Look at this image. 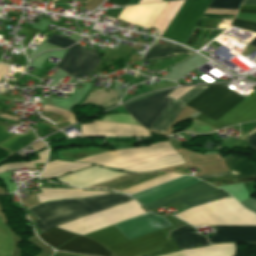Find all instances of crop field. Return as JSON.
I'll list each match as a JSON object with an SVG mask.
<instances>
[{
    "instance_id": "crop-field-43",
    "label": "crop field",
    "mask_w": 256,
    "mask_h": 256,
    "mask_svg": "<svg viewBox=\"0 0 256 256\" xmlns=\"http://www.w3.org/2000/svg\"><path fill=\"white\" fill-rule=\"evenodd\" d=\"M140 0H129V2L127 3V5H132V4H138Z\"/></svg>"
},
{
    "instance_id": "crop-field-32",
    "label": "crop field",
    "mask_w": 256,
    "mask_h": 256,
    "mask_svg": "<svg viewBox=\"0 0 256 256\" xmlns=\"http://www.w3.org/2000/svg\"><path fill=\"white\" fill-rule=\"evenodd\" d=\"M206 87H195L190 92L185 94L183 97H181L178 101L182 103L188 102L190 99H192L194 96H196L198 93H200L202 90H204Z\"/></svg>"
},
{
    "instance_id": "crop-field-47",
    "label": "crop field",
    "mask_w": 256,
    "mask_h": 256,
    "mask_svg": "<svg viewBox=\"0 0 256 256\" xmlns=\"http://www.w3.org/2000/svg\"><path fill=\"white\" fill-rule=\"evenodd\" d=\"M168 1H172V0H168Z\"/></svg>"
},
{
    "instance_id": "crop-field-37",
    "label": "crop field",
    "mask_w": 256,
    "mask_h": 256,
    "mask_svg": "<svg viewBox=\"0 0 256 256\" xmlns=\"http://www.w3.org/2000/svg\"><path fill=\"white\" fill-rule=\"evenodd\" d=\"M10 68L9 65L1 64L0 63V79L3 77V75L8 71ZM1 81V80H0Z\"/></svg>"
},
{
    "instance_id": "crop-field-42",
    "label": "crop field",
    "mask_w": 256,
    "mask_h": 256,
    "mask_svg": "<svg viewBox=\"0 0 256 256\" xmlns=\"http://www.w3.org/2000/svg\"><path fill=\"white\" fill-rule=\"evenodd\" d=\"M163 256H183V255H181L179 252H175V253H171Z\"/></svg>"
},
{
    "instance_id": "crop-field-5",
    "label": "crop field",
    "mask_w": 256,
    "mask_h": 256,
    "mask_svg": "<svg viewBox=\"0 0 256 256\" xmlns=\"http://www.w3.org/2000/svg\"><path fill=\"white\" fill-rule=\"evenodd\" d=\"M173 155H177V153L172 149L168 142H165L154 144L149 147L108 152L76 161L92 162L102 166L123 169Z\"/></svg>"
},
{
    "instance_id": "crop-field-48",
    "label": "crop field",
    "mask_w": 256,
    "mask_h": 256,
    "mask_svg": "<svg viewBox=\"0 0 256 256\" xmlns=\"http://www.w3.org/2000/svg\"><path fill=\"white\" fill-rule=\"evenodd\" d=\"M256 80V79H255Z\"/></svg>"
},
{
    "instance_id": "crop-field-38",
    "label": "crop field",
    "mask_w": 256,
    "mask_h": 256,
    "mask_svg": "<svg viewBox=\"0 0 256 256\" xmlns=\"http://www.w3.org/2000/svg\"><path fill=\"white\" fill-rule=\"evenodd\" d=\"M107 2L116 4V5H119V6H123V5H126L128 0H107Z\"/></svg>"
},
{
    "instance_id": "crop-field-35",
    "label": "crop field",
    "mask_w": 256,
    "mask_h": 256,
    "mask_svg": "<svg viewBox=\"0 0 256 256\" xmlns=\"http://www.w3.org/2000/svg\"><path fill=\"white\" fill-rule=\"evenodd\" d=\"M5 129H6V127L0 126V144L4 141L8 140L9 138L15 136V135L5 132L4 131Z\"/></svg>"
},
{
    "instance_id": "crop-field-26",
    "label": "crop field",
    "mask_w": 256,
    "mask_h": 256,
    "mask_svg": "<svg viewBox=\"0 0 256 256\" xmlns=\"http://www.w3.org/2000/svg\"><path fill=\"white\" fill-rule=\"evenodd\" d=\"M179 176H181V174L173 172L171 174H168V175H165L163 177L151 180L149 182H146V183H143V184H140V185H137V186H134V187L122 190L120 192H123V193H126V194L136 193V192H139V191L151 188L153 186H156L158 184H161L163 182H166L168 180H171V179L179 177Z\"/></svg>"
},
{
    "instance_id": "crop-field-8",
    "label": "crop field",
    "mask_w": 256,
    "mask_h": 256,
    "mask_svg": "<svg viewBox=\"0 0 256 256\" xmlns=\"http://www.w3.org/2000/svg\"><path fill=\"white\" fill-rule=\"evenodd\" d=\"M173 90H165L155 96L123 106L141 125L150 128L172 100L167 95Z\"/></svg>"
},
{
    "instance_id": "crop-field-17",
    "label": "crop field",
    "mask_w": 256,
    "mask_h": 256,
    "mask_svg": "<svg viewBox=\"0 0 256 256\" xmlns=\"http://www.w3.org/2000/svg\"><path fill=\"white\" fill-rule=\"evenodd\" d=\"M159 39H156L155 42L150 47L148 53L145 55V57L142 59V61L157 59V58H165L172 55H192L193 52L180 47L176 46L172 43H166L164 46L157 44Z\"/></svg>"
},
{
    "instance_id": "crop-field-19",
    "label": "crop field",
    "mask_w": 256,
    "mask_h": 256,
    "mask_svg": "<svg viewBox=\"0 0 256 256\" xmlns=\"http://www.w3.org/2000/svg\"><path fill=\"white\" fill-rule=\"evenodd\" d=\"M183 107L184 105L172 100L150 129L164 133Z\"/></svg>"
},
{
    "instance_id": "crop-field-15",
    "label": "crop field",
    "mask_w": 256,
    "mask_h": 256,
    "mask_svg": "<svg viewBox=\"0 0 256 256\" xmlns=\"http://www.w3.org/2000/svg\"><path fill=\"white\" fill-rule=\"evenodd\" d=\"M57 250L73 251L97 256H109L111 253L99 244L80 235L57 248Z\"/></svg>"
},
{
    "instance_id": "crop-field-6",
    "label": "crop field",
    "mask_w": 256,
    "mask_h": 256,
    "mask_svg": "<svg viewBox=\"0 0 256 256\" xmlns=\"http://www.w3.org/2000/svg\"><path fill=\"white\" fill-rule=\"evenodd\" d=\"M242 99L243 96L232 90L215 85L209 86L185 105L216 120Z\"/></svg>"
},
{
    "instance_id": "crop-field-13",
    "label": "crop field",
    "mask_w": 256,
    "mask_h": 256,
    "mask_svg": "<svg viewBox=\"0 0 256 256\" xmlns=\"http://www.w3.org/2000/svg\"><path fill=\"white\" fill-rule=\"evenodd\" d=\"M126 175L124 173L106 170L97 166L64 176L58 180L69 185L85 188L107 180H112L117 177Z\"/></svg>"
},
{
    "instance_id": "crop-field-21",
    "label": "crop field",
    "mask_w": 256,
    "mask_h": 256,
    "mask_svg": "<svg viewBox=\"0 0 256 256\" xmlns=\"http://www.w3.org/2000/svg\"><path fill=\"white\" fill-rule=\"evenodd\" d=\"M89 165H92V164L70 163V162H63V161L56 160L47 164L45 171L41 174V177H56L66 172L76 170Z\"/></svg>"
},
{
    "instance_id": "crop-field-10",
    "label": "crop field",
    "mask_w": 256,
    "mask_h": 256,
    "mask_svg": "<svg viewBox=\"0 0 256 256\" xmlns=\"http://www.w3.org/2000/svg\"><path fill=\"white\" fill-rule=\"evenodd\" d=\"M196 119L216 128H223L245 121L256 120V91L238 103L216 121L200 114Z\"/></svg>"
},
{
    "instance_id": "crop-field-36",
    "label": "crop field",
    "mask_w": 256,
    "mask_h": 256,
    "mask_svg": "<svg viewBox=\"0 0 256 256\" xmlns=\"http://www.w3.org/2000/svg\"><path fill=\"white\" fill-rule=\"evenodd\" d=\"M239 12L256 13V6H241Z\"/></svg>"
},
{
    "instance_id": "crop-field-7",
    "label": "crop field",
    "mask_w": 256,
    "mask_h": 256,
    "mask_svg": "<svg viewBox=\"0 0 256 256\" xmlns=\"http://www.w3.org/2000/svg\"><path fill=\"white\" fill-rule=\"evenodd\" d=\"M212 0L185 1L162 37L183 44Z\"/></svg>"
},
{
    "instance_id": "crop-field-39",
    "label": "crop field",
    "mask_w": 256,
    "mask_h": 256,
    "mask_svg": "<svg viewBox=\"0 0 256 256\" xmlns=\"http://www.w3.org/2000/svg\"><path fill=\"white\" fill-rule=\"evenodd\" d=\"M31 147H33L35 150H37V149H39V148L44 147V145H43L42 143L38 142V143L34 144V145L31 146Z\"/></svg>"
},
{
    "instance_id": "crop-field-27",
    "label": "crop field",
    "mask_w": 256,
    "mask_h": 256,
    "mask_svg": "<svg viewBox=\"0 0 256 256\" xmlns=\"http://www.w3.org/2000/svg\"><path fill=\"white\" fill-rule=\"evenodd\" d=\"M46 155V150L40 153V160L32 161V162H22V163H11L7 165L0 166V173L4 171H8L15 168H35L34 163H44Z\"/></svg>"
},
{
    "instance_id": "crop-field-34",
    "label": "crop field",
    "mask_w": 256,
    "mask_h": 256,
    "mask_svg": "<svg viewBox=\"0 0 256 256\" xmlns=\"http://www.w3.org/2000/svg\"><path fill=\"white\" fill-rule=\"evenodd\" d=\"M245 141L249 146L256 149V126L252 129V131L246 136Z\"/></svg>"
},
{
    "instance_id": "crop-field-22",
    "label": "crop field",
    "mask_w": 256,
    "mask_h": 256,
    "mask_svg": "<svg viewBox=\"0 0 256 256\" xmlns=\"http://www.w3.org/2000/svg\"><path fill=\"white\" fill-rule=\"evenodd\" d=\"M184 3V1H174L170 2L165 6L155 23L153 24V27H155L159 31V37H161L162 33L166 29V27L169 25V23L172 21L174 15L179 10L181 5Z\"/></svg>"
},
{
    "instance_id": "crop-field-30",
    "label": "crop field",
    "mask_w": 256,
    "mask_h": 256,
    "mask_svg": "<svg viewBox=\"0 0 256 256\" xmlns=\"http://www.w3.org/2000/svg\"><path fill=\"white\" fill-rule=\"evenodd\" d=\"M43 111H47V112H52V113L63 115L67 119L69 124H71V123L76 121L74 116L72 115V113L64 111V110H61V109H58V108L53 107V106L45 105Z\"/></svg>"
},
{
    "instance_id": "crop-field-33",
    "label": "crop field",
    "mask_w": 256,
    "mask_h": 256,
    "mask_svg": "<svg viewBox=\"0 0 256 256\" xmlns=\"http://www.w3.org/2000/svg\"><path fill=\"white\" fill-rule=\"evenodd\" d=\"M22 33L28 34L25 40L22 43L23 48H26V46L30 43V41L35 37V35L38 33V30L30 29L24 27Z\"/></svg>"
},
{
    "instance_id": "crop-field-24",
    "label": "crop field",
    "mask_w": 256,
    "mask_h": 256,
    "mask_svg": "<svg viewBox=\"0 0 256 256\" xmlns=\"http://www.w3.org/2000/svg\"><path fill=\"white\" fill-rule=\"evenodd\" d=\"M34 139L36 138L30 131L23 136H16L6 141L5 143L1 144L0 147L14 153L32 143Z\"/></svg>"
},
{
    "instance_id": "crop-field-44",
    "label": "crop field",
    "mask_w": 256,
    "mask_h": 256,
    "mask_svg": "<svg viewBox=\"0 0 256 256\" xmlns=\"http://www.w3.org/2000/svg\"><path fill=\"white\" fill-rule=\"evenodd\" d=\"M250 45L255 46L256 47V37L254 38V40L250 43Z\"/></svg>"
},
{
    "instance_id": "crop-field-18",
    "label": "crop field",
    "mask_w": 256,
    "mask_h": 256,
    "mask_svg": "<svg viewBox=\"0 0 256 256\" xmlns=\"http://www.w3.org/2000/svg\"><path fill=\"white\" fill-rule=\"evenodd\" d=\"M184 256H233L232 243L216 244L204 248L181 251Z\"/></svg>"
},
{
    "instance_id": "crop-field-41",
    "label": "crop field",
    "mask_w": 256,
    "mask_h": 256,
    "mask_svg": "<svg viewBox=\"0 0 256 256\" xmlns=\"http://www.w3.org/2000/svg\"><path fill=\"white\" fill-rule=\"evenodd\" d=\"M157 1H161V0H141L139 2V4H141V3H149V2H157Z\"/></svg>"
},
{
    "instance_id": "crop-field-2",
    "label": "crop field",
    "mask_w": 256,
    "mask_h": 256,
    "mask_svg": "<svg viewBox=\"0 0 256 256\" xmlns=\"http://www.w3.org/2000/svg\"><path fill=\"white\" fill-rule=\"evenodd\" d=\"M194 226L256 224V215L244 209L232 197L197 206L174 215ZM216 232L210 242L256 243V225L212 226Z\"/></svg>"
},
{
    "instance_id": "crop-field-45",
    "label": "crop field",
    "mask_w": 256,
    "mask_h": 256,
    "mask_svg": "<svg viewBox=\"0 0 256 256\" xmlns=\"http://www.w3.org/2000/svg\"><path fill=\"white\" fill-rule=\"evenodd\" d=\"M2 55H3V52H0V58H1Z\"/></svg>"
},
{
    "instance_id": "crop-field-11",
    "label": "crop field",
    "mask_w": 256,
    "mask_h": 256,
    "mask_svg": "<svg viewBox=\"0 0 256 256\" xmlns=\"http://www.w3.org/2000/svg\"><path fill=\"white\" fill-rule=\"evenodd\" d=\"M166 3L125 7L118 19L132 25L150 29Z\"/></svg>"
},
{
    "instance_id": "crop-field-9",
    "label": "crop field",
    "mask_w": 256,
    "mask_h": 256,
    "mask_svg": "<svg viewBox=\"0 0 256 256\" xmlns=\"http://www.w3.org/2000/svg\"><path fill=\"white\" fill-rule=\"evenodd\" d=\"M100 61L101 59L98 57L94 47L89 51L74 45L58 64L57 68L63 69L69 75L82 77L89 75Z\"/></svg>"
},
{
    "instance_id": "crop-field-31",
    "label": "crop field",
    "mask_w": 256,
    "mask_h": 256,
    "mask_svg": "<svg viewBox=\"0 0 256 256\" xmlns=\"http://www.w3.org/2000/svg\"><path fill=\"white\" fill-rule=\"evenodd\" d=\"M231 26L256 32V23L233 19Z\"/></svg>"
},
{
    "instance_id": "crop-field-4",
    "label": "crop field",
    "mask_w": 256,
    "mask_h": 256,
    "mask_svg": "<svg viewBox=\"0 0 256 256\" xmlns=\"http://www.w3.org/2000/svg\"><path fill=\"white\" fill-rule=\"evenodd\" d=\"M85 236L100 242L119 256H156L179 250L167 228L130 241L113 226Z\"/></svg>"
},
{
    "instance_id": "crop-field-12",
    "label": "crop field",
    "mask_w": 256,
    "mask_h": 256,
    "mask_svg": "<svg viewBox=\"0 0 256 256\" xmlns=\"http://www.w3.org/2000/svg\"><path fill=\"white\" fill-rule=\"evenodd\" d=\"M82 135H149L141 126L93 121L81 124Z\"/></svg>"
},
{
    "instance_id": "crop-field-14",
    "label": "crop field",
    "mask_w": 256,
    "mask_h": 256,
    "mask_svg": "<svg viewBox=\"0 0 256 256\" xmlns=\"http://www.w3.org/2000/svg\"><path fill=\"white\" fill-rule=\"evenodd\" d=\"M224 161H225L229 171L235 172V173H237V175H235V176L228 175V174H230V172H226V173H220V174L200 176L199 178L204 179V178L228 175V176L204 179V181H206V182H213V181H219V180H225V179H231V178L256 176V165L249 164V163H247L246 160L235 158V157H229V158H225Z\"/></svg>"
},
{
    "instance_id": "crop-field-1",
    "label": "crop field",
    "mask_w": 256,
    "mask_h": 256,
    "mask_svg": "<svg viewBox=\"0 0 256 256\" xmlns=\"http://www.w3.org/2000/svg\"><path fill=\"white\" fill-rule=\"evenodd\" d=\"M36 193L40 203L61 198L104 194L105 192H91L70 189L39 188ZM132 200L120 193H107L98 196L61 199L38 204L28 208L39 220L35 221L38 228L44 232L54 226L95 213L97 211ZM128 240L144 234L169 227L167 221L157 215H143L114 225Z\"/></svg>"
},
{
    "instance_id": "crop-field-25",
    "label": "crop field",
    "mask_w": 256,
    "mask_h": 256,
    "mask_svg": "<svg viewBox=\"0 0 256 256\" xmlns=\"http://www.w3.org/2000/svg\"><path fill=\"white\" fill-rule=\"evenodd\" d=\"M13 251L12 236L0 220V256H11Z\"/></svg>"
},
{
    "instance_id": "crop-field-40",
    "label": "crop field",
    "mask_w": 256,
    "mask_h": 256,
    "mask_svg": "<svg viewBox=\"0 0 256 256\" xmlns=\"http://www.w3.org/2000/svg\"><path fill=\"white\" fill-rule=\"evenodd\" d=\"M243 4H256V0H244Z\"/></svg>"
},
{
    "instance_id": "crop-field-23",
    "label": "crop field",
    "mask_w": 256,
    "mask_h": 256,
    "mask_svg": "<svg viewBox=\"0 0 256 256\" xmlns=\"http://www.w3.org/2000/svg\"><path fill=\"white\" fill-rule=\"evenodd\" d=\"M76 234L61 230L57 227L43 233L39 234V237L41 240L49 244L50 246L54 247L56 249L72 237H74Z\"/></svg>"
},
{
    "instance_id": "crop-field-3",
    "label": "crop field",
    "mask_w": 256,
    "mask_h": 256,
    "mask_svg": "<svg viewBox=\"0 0 256 256\" xmlns=\"http://www.w3.org/2000/svg\"><path fill=\"white\" fill-rule=\"evenodd\" d=\"M200 182L202 181L192 176H184L171 182L146 190L142 193L134 194L132 196L139 200L142 203V205H145L149 202H152L161 197L180 191L182 189H185ZM227 196L230 195H228L227 193L218 188H215L205 182H202L200 184H197L195 186L174 193L172 195L166 196L150 204H147L145 205V207L148 210H152L177 200L191 207H194Z\"/></svg>"
},
{
    "instance_id": "crop-field-28",
    "label": "crop field",
    "mask_w": 256,
    "mask_h": 256,
    "mask_svg": "<svg viewBox=\"0 0 256 256\" xmlns=\"http://www.w3.org/2000/svg\"><path fill=\"white\" fill-rule=\"evenodd\" d=\"M242 0H213L208 8L238 9Z\"/></svg>"
},
{
    "instance_id": "crop-field-46",
    "label": "crop field",
    "mask_w": 256,
    "mask_h": 256,
    "mask_svg": "<svg viewBox=\"0 0 256 256\" xmlns=\"http://www.w3.org/2000/svg\"><path fill=\"white\" fill-rule=\"evenodd\" d=\"M162 1H167V0H162Z\"/></svg>"
},
{
    "instance_id": "crop-field-20",
    "label": "crop field",
    "mask_w": 256,
    "mask_h": 256,
    "mask_svg": "<svg viewBox=\"0 0 256 256\" xmlns=\"http://www.w3.org/2000/svg\"><path fill=\"white\" fill-rule=\"evenodd\" d=\"M184 164V161L181 159L180 155L168 157L156 161H152L149 163H145L142 165L134 166L131 168L123 169L132 172H145V171H153L163 168H168L176 165Z\"/></svg>"
},
{
    "instance_id": "crop-field-29",
    "label": "crop field",
    "mask_w": 256,
    "mask_h": 256,
    "mask_svg": "<svg viewBox=\"0 0 256 256\" xmlns=\"http://www.w3.org/2000/svg\"><path fill=\"white\" fill-rule=\"evenodd\" d=\"M47 42L55 44L57 46H60L62 48L68 47L70 45H72L75 41L66 39L64 37L58 36L53 34L48 40Z\"/></svg>"
},
{
    "instance_id": "crop-field-16",
    "label": "crop field",
    "mask_w": 256,
    "mask_h": 256,
    "mask_svg": "<svg viewBox=\"0 0 256 256\" xmlns=\"http://www.w3.org/2000/svg\"><path fill=\"white\" fill-rule=\"evenodd\" d=\"M171 234L180 250L207 244L204 236L194 233L193 229L188 224L171 231Z\"/></svg>"
}]
</instances>
